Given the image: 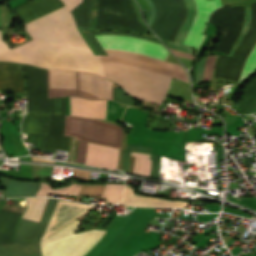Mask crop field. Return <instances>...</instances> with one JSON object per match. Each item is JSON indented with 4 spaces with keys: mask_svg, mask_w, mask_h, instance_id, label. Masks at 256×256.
I'll return each mask as SVG.
<instances>
[{
    "mask_svg": "<svg viewBox=\"0 0 256 256\" xmlns=\"http://www.w3.org/2000/svg\"><path fill=\"white\" fill-rule=\"evenodd\" d=\"M216 56H209L206 66H205V72H204V78L203 79H211V74L214 66Z\"/></svg>",
    "mask_w": 256,
    "mask_h": 256,
    "instance_id": "crop-field-27",
    "label": "crop field"
},
{
    "mask_svg": "<svg viewBox=\"0 0 256 256\" xmlns=\"http://www.w3.org/2000/svg\"><path fill=\"white\" fill-rule=\"evenodd\" d=\"M156 6V17L151 29L162 39L175 41L184 23L188 8L184 0H152Z\"/></svg>",
    "mask_w": 256,
    "mask_h": 256,
    "instance_id": "crop-field-7",
    "label": "crop field"
},
{
    "mask_svg": "<svg viewBox=\"0 0 256 256\" xmlns=\"http://www.w3.org/2000/svg\"><path fill=\"white\" fill-rule=\"evenodd\" d=\"M151 148L152 147L136 146V145L127 144V149H124L123 170L126 172L128 170L130 151L150 154Z\"/></svg>",
    "mask_w": 256,
    "mask_h": 256,
    "instance_id": "crop-field-23",
    "label": "crop field"
},
{
    "mask_svg": "<svg viewBox=\"0 0 256 256\" xmlns=\"http://www.w3.org/2000/svg\"><path fill=\"white\" fill-rule=\"evenodd\" d=\"M20 214L0 210V244L12 242L14 225Z\"/></svg>",
    "mask_w": 256,
    "mask_h": 256,
    "instance_id": "crop-field-13",
    "label": "crop field"
},
{
    "mask_svg": "<svg viewBox=\"0 0 256 256\" xmlns=\"http://www.w3.org/2000/svg\"><path fill=\"white\" fill-rule=\"evenodd\" d=\"M96 38L104 49L130 51L161 60L167 52L161 44L127 36L105 35ZM105 51L109 56H99L106 76L135 98L161 104L172 77L188 82L185 71L177 64L135 53Z\"/></svg>",
    "mask_w": 256,
    "mask_h": 256,
    "instance_id": "crop-field-2",
    "label": "crop field"
},
{
    "mask_svg": "<svg viewBox=\"0 0 256 256\" xmlns=\"http://www.w3.org/2000/svg\"><path fill=\"white\" fill-rule=\"evenodd\" d=\"M25 70L28 112L50 113V101L47 96V70L23 65ZM50 115L27 114L23 119V132L46 134L44 151L55 152V149L68 151L69 137L63 136L65 120V99L62 100V115H54V99L51 98Z\"/></svg>",
    "mask_w": 256,
    "mask_h": 256,
    "instance_id": "crop-field-4",
    "label": "crop field"
},
{
    "mask_svg": "<svg viewBox=\"0 0 256 256\" xmlns=\"http://www.w3.org/2000/svg\"><path fill=\"white\" fill-rule=\"evenodd\" d=\"M130 214L123 217H115L105 235L85 256H96L110 242Z\"/></svg>",
    "mask_w": 256,
    "mask_h": 256,
    "instance_id": "crop-field-15",
    "label": "crop field"
},
{
    "mask_svg": "<svg viewBox=\"0 0 256 256\" xmlns=\"http://www.w3.org/2000/svg\"><path fill=\"white\" fill-rule=\"evenodd\" d=\"M256 98V78L248 83L242 98L235 104V107H239L247 110L249 106L254 102Z\"/></svg>",
    "mask_w": 256,
    "mask_h": 256,
    "instance_id": "crop-field-20",
    "label": "crop field"
},
{
    "mask_svg": "<svg viewBox=\"0 0 256 256\" xmlns=\"http://www.w3.org/2000/svg\"><path fill=\"white\" fill-rule=\"evenodd\" d=\"M7 88L12 92H24L22 72L18 63L0 62V90Z\"/></svg>",
    "mask_w": 256,
    "mask_h": 256,
    "instance_id": "crop-field-12",
    "label": "crop field"
},
{
    "mask_svg": "<svg viewBox=\"0 0 256 256\" xmlns=\"http://www.w3.org/2000/svg\"><path fill=\"white\" fill-rule=\"evenodd\" d=\"M123 148H126V133L123 132L122 145L119 152V166L118 169L122 170Z\"/></svg>",
    "mask_w": 256,
    "mask_h": 256,
    "instance_id": "crop-field-30",
    "label": "crop field"
},
{
    "mask_svg": "<svg viewBox=\"0 0 256 256\" xmlns=\"http://www.w3.org/2000/svg\"><path fill=\"white\" fill-rule=\"evenodd\" d=\"M28 208L22 218L40 221L48 199L45 198H26ZM37 222V223H38Z\"/></svg>",
    "mask_w": 256,
    "mask_h": 256,
    "instance_id": "crop-field-16",
    "label": "crop field"
},
{
    "mask_svg": "<svg viewBox=\"0 0 256 256\" xmlns=\"http://www.w3.org/2000/svg\"><path fill=\"white\" fill-rule=\"evenodd\" d=\"M26 26L34 40L15 49L10 50L0 35V60L105 76L99 56L89 48L65 6Z\"/></svg>",
    "mask_w": 256,
    "mask_h": 256,
    "instance_id": "crop-field-1",
    "label": "crop field"
},
{
    "mask_svg": "<svg viewBox=\"0 0 256 256\" xmlns=\"http://www.w3.org/2000/svg\"><path fill=\"white\" fill-rule=\"evenodd\" d=\"M124 185L107 184L101 197L107 198V203L120 200Z\"/></svg>",
    "mask_w": 256,
    "mask_h": 256,
    "instance_id": "crop-field-21",
    "label": "crop field"
},
{
    "mask_svg": "<svg viewBox=\"0 0 256 256\" xmlns=\"http://www.w3.org/2000/svg\"><path fill=\"white\" fill-rule=\"evenodd\" d=\"M186 3L189 8V15L179 33V35L177 36L175 43L168 41V45L174 49H178L181 51H185V52L194 54L192 49L189 46L181 45L184 37L186 36L187 32L189 31V29L193 23L194 16H195V13L197 10L194 0H186Z\"/></svg>",
    "mask_w": 256,
    "mask_h": 256,
    "instance_id": "crop-field-14",
    "label": "crop field"
},
{
    "mask_svg": "<svg viewBox=\"0 0 256 256\" xmlns=\"http://www.w3.org/2000/svg\"><path fill=\"white\" fill-rule=\"evenodd\" d=\"M71 115L95 118L106 117V100H86L70 97Z\"/></svg>",
    "mask_w": 256,
    "mask_h": 256,
    "instance_id": "crop-field-11",
    "label": "crop field"
},
{
    "mask_svg": "<svg viewBox=\"0 0 256 256\" xmlns=\"http://www.w3.org/2000/svg\"><path fill=\"white\" fill-rule=\"evenodd\" d=\"M159 158L160 156L153 154L151 176L157 177V178H158V171H159Z\"/></svg>",
    "mask_w": 256,
    "mask_h": 256,
    "instance_id": "crop-field-29",
    "label": "crop field"
},
{
    "mask_svg": "<svg viewBox=\"0 0 256 256\" xmlns=\"http://www.w3.org/2000/svg\"><path fill=\"white\" fill-rule=\"evenodd\" d=\"M135 156L133 173L140 175L150 176V163L149 155L131 152Z\"/></svg>",
    "mask_w": 256,
    "mask_h": 256,
    "instance_id": "crop-field-19",
    "label": "crop field"
},
{
    "mask_svg": "<svg viewBox=\"0 0 256 256\" xmlns=\"http://www.w3.org/2000/svg\"><path fill=\"white\" fill-rule=\"evenodd\" d=\"M62 6L60 0H31L14 10L26 24Z\"/></svg>",
    "mask_w": 256,
    "mask_h": 256,
    "instance_id": "crop-field-10",
    "label": "crop field"
},
{
    "mask_svg": "<svg viewBox=\"0 0 256 256\" xmlns=\"http://www.w3.org/2000/svg\"><path fill=\"white\" fill-rule=\"evenodd\" d=\"M81 185L72 182L71 185L63 187L61 189H51V187L41 182V188L35 196H47L48 193H57L62 195H74L76 196Z\"/></svg>",
    "mask_w": 256,
    "mask_h": 256,
    "instance_id": "crop-field-18",
    "label": "crop field"
},
{
    "mask_svg": "<svg viewBox=\"0 0 256 256\" xmlns=\"http://www.w3.org/2000/svg\"><path fill=\"white\" fill-rule=\"evenodd\" d=\"M65 5L69 8L71 11L73 8H75L82 0H62Z\"/></svg>",
    "mask_w": 256,
    "mask_h": 256,
    "instance_id": "crop-field-31",
    "label": "crop field"
},
{
    "mask_svg": "<svg viewBox=\"0 0 256 256\" xmlns=\"http://www.w3.org/2000/svg\"><path fill=\"white\" fill-rule=\"evenodd\" d=\"M114 82L94 74L48 70V96L77 95L90 99H112Z\"/></svg>",
    "mask_w": 256,
    "mask_h": 256,
    "instance_id": "crop-field-5",
    "label": "crop field"
},
{
    "mask_svg": "<svg viewBox=\"0 0 256 256\" xmlns=\"http://www.w3.org/2000/svg\"><path fill=\"white\" fill-rule=\"evenodd\" d=\"M56 200H48L40 223L20 218L15 243L0 245V256H83L103 236L94 229L72 235L80 222L74 220L46 239L39 240L54 211Z\"/></svg>",
    "mask_w": 256,
    "mask_h": 256,
    "instance_id": "crop-field-3",
    "label": "crop field"
},
{
    "mask_svg": "<svg viewBox=\"0 0 256 256\" xmlns=\"http://www.w3.org/2000/svg\"><path fill=\"white\" fill-rule=\"evenodd\" d=\"M250 19H251V12L250 9L246 8V14H245V22H244V26L242 29V32L235 44V46L233 47V49L231 50V52L229 53L230 56H232L233 52L235 51L236 47L238 46V44L240 43L241 39L243 38V36L246 34L249 25H250Z\"/></svg>",
    "mask_w": 256,
    "mask_h": 256,
    "instance_id": "crop-field-24",
    "label": "crop field"
},
{
    "mask_svg": "<svg viewBox=\"0 0 256 256\" xmlns=\"http://www.w3.org/2000/svg\"><path fill=\"white\" fill-rule=\"evenodd\" d=\"M114 100L128 104L131 106H134V101L129 98L127 95H125L120 89L114 87Z\"/></svg>",
    "mask_w": 256,
    "mask_h": 256,
    "instance_id": "crop-field-25",
    "label": "crop field"
},
{
    "mask_svg": "<svg viewBox=\"0 0 256 256\" xmlns=\"http://www.w3.org/2000/svg\"><path fill=\"white\" fill-rule=\"evenodd\" d=\"M55 114H61V100H60V97L55 98Z\"/></svg>",
    "mask_w": 256,
    "mask_h": 256,
    "instance_id": "crop-field-33",
    "label": "crop field"
},
{
    "mask_svg": "<svg viewBox=\"0 0 256 256\" xmlns=\"http://www.w3.org/2000/svg\"><path fill=\"white\" fill-rule=\"evenodd\" d=\"M170 50H171V49H170ZM171 51H172L175 55L187 57V58H190V59H193V60H194V55H192V54L184 53V52L177 51V50H171Z\"/></svg>",
    "mask_w": 256,
    "mask_h": 256,
    "instance_id": "crop-field-32",
    "label": "crop field"
},
{
    "mask_svg": "<svg viewBox=\"0 0 256 256\" xmlns=\"http://www.w3.org/2000/svg\"><path fill=\"white\" fill-rule=\"evenodd\" d=\"M133 160H134V157L131 156L129 170H128V172H130V173H132Z\"/></svg>",
    "mask_w": 256,
    "mask_h": 256,
    "instance_id": "crop-field-34",
    "label": "crop field"
},
{
    "mask_svg": "<svg viewBox=\"0 0 256 256\" xmlns=\"http://www.w3.org/2000/svg\"><path fill=\"white\" fill-rule=\"evenodd\" d=\"M119 149L88 142L85 164L117 169Z\"/></svg>",
    "mask_w": 256,
    "mask_h": 256,
    "instance_id": "crop-field-9",
    "label": "crop field"
},
{
    "mask_svg": "<svg viewBox=\"0 0 256 256\" xmlns=\"http://www.w3.org/2000/svg\"><path fill=\"white\" fill-rule=\"evenodd\" d=\"M64 135L79 139L77 161L84 163L87 141L120 148L122 127L99 119L66 116Z\"/></svg>",
    "mask_w": 256,
    "mask_h": 256,
    "instance_id": "crop-field-6",
    "label": "crop field"
},
{
    "mask_svg": "<svg viewBox=\"0 0 256 256\" xmlns=\"http://www.w3.org/2000/svg\"><path fill=\"white\" fill-rule=\"evenodd\" d=\"M254 109H255V108H254ZM254 109H253V110H254ZM253 110H252V111H253ZM252 111H251V112H252ZM248 114H249V113H248Z\"/></svg>",
    "mask_w": 256,
    "mask_h": 256,
    "instance_id": "crop-field-38",
    "label": "crop field"
},
{
    "mask_svg": "<svg viewBox=\"0 0 256 256\" xmlns=\"http://www.w3.org/2000/svg\"><path fill=\"white\" fill-rule=\"evenodd\" d=\"M254 107H256V100H255V102L253 103V105L250 107V109L247 111V113L250 112ZM247 113H246V114H247Z\"/></svg>",
    "mask_w": 256,
    "mask_h": 256,
    "instance_id": "crop-field-37",
    "label": "crop field"
},
{
    "mask_svg": "<svg viewBox=\"0 0 256 256\" xmlns=\"http://www.w3.org/2000/svg\"><path fill=\"white\" fill-rule=\"evenodd\" d=\"M76 141V145H75V153H74V161L76 163V156H77V145H78V140H75Z\"/></svg>",
    "mask_w": 256,
    "mask_h": 256,
    "instance_id": "crop-field-35",
    "label": "crop field"
},
{
    "mask_svg": "<svg viewBox=\"0 0 256 256\" xmlns=\"http://www.w3.org/2000/svg\"><path fill=\"white\" fill-rule=\"evenodd\" d=\"M83 32L85 33L86 37L88 38V40L90 41L91 45L93 46V48L96 50V52L98 54H105L104 49L102 48V46L100 45V43L97 41V39L95 38L94 35H98V34H119V35H128V36H135V37H139L142 39H146V40H150V41H154V42H158L160 43V41L158 39L155 38H149V37H145V36H141V35H137V34H131V33H122V32H90L86 29H83Z\"/></svg>",
    "mask_w": 256,
    "mask_h": 256,
    "instance_id": "crop-field-17",
    "label": "crop field"
},
{
    "mask_svg": "<svg viewBox=\"0 0 256 256\" xmlns=\"http://www.w3.org/2000/svg\"><path fill=\"white\" fill-rule=\"evenodd\" d=\"M195 2L198 6V13L183 43L198 49L204 38L202 30L208 20L210 12L221 6V4L220 0H195Z\"/></svg>",
    "mask_w": 256,
    "mask_h": 256,
    "instance_id": "crop-field-8",
    "label": "crop field"
},
{
    "mask_svg": "<svg viewBox=\"0 0 256 256\" xmlns=\"http://www.w3.org/2000/svg\"><path fill=\"white\" fill-rule=\"evenodd\" d=\"M71 143H72V137H70V146H69V157H68V162H70V156H71Z\"/></svg>",
    "mask_w": 256,
    "mask_h": 256,
    "instance_id": "crop-field-36",
    "label": "crop field"
},
{
    "mask_svg": "<svg viewBox=\"0 0 256 256\" xmlns=\"http://www.w3.org/2000/svg\"><path fill=\"white\" fill-rule=\"evenodd\" d=\"M255 71H256V45L253 48L248 59L246 60L238 81L243 82L246 77L253 75Z\"/></svg>",
    "mask_w": 256,
    "mask_h": 256,
    "instance_id": "crop-field-22",
    "label": "crop field"
},
{
    "mask_svg": "<svg viewBox=\"0 0 256 256\" xmlns=\"http://www.w3.org/2000/svg\"><path fill=\"white\" fill-rule=\"evenodd\" d=\"M45 134H29V142H36V148L43 149Z\"/></svg>",
    "mask_w": 256,
    "mask_h": 256,
    "instance_id": "crop-field-26",
    "label": "crop field"
},
{
    "mask_svg": "<svg viewBox=\"0 0 256 256\" xmlns=\"http://www.w3.org/2000/svg\"><path fill=\"white\" fill-rule=\"evenodd\" d=\"M91 1H92V14L90 18L89 28L91 30H95V22H96V16H97V0H91Z\"/></svg>",
    "mask_w": 256,
    "mask_h": 256,
    "instance_id": "crop-field-28",
    "label": "crop field"
}]
</instances>
